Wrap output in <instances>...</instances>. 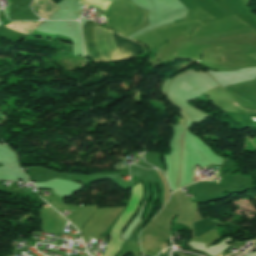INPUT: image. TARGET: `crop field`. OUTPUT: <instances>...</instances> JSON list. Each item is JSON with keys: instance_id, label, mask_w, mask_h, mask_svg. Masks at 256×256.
I'll return each mask as SVG.
<instances>
[{"instance_id": "crop-field-1", "label": "crop field", "mask_w": 256, "mask_h": 256, "mask_svg": "<svg viewBox=\"0 0 256 256\" xmlns=\"http://www.w3.org/2000/svg\"><path fill=\"white\" fill-rule=\"evenodd\" d=\"M93 29L94 22L92 20L86 22L83 27L87 51L94 62H104L102 57L104 58L105 62L121 61L124 59L127 60L141 52L146 51L142 44L114 34L115 44L124 57L123 59L114 44L113 32L110 30H105L98 24H95L94 33L97 48L102 56L101 57L96 48Z\"/></svg>"}, {"instance_id": "crop-field-2", "label": "crop field", "mask_w": 256, "mask_h": 256, "mask_svg": "<svg viewBox=\"0 0 256 256\" xmlns=\"http://www.w3.org/2000/svg\"><path fill=\"white\" fill-rule=\"evenodd\" d=\"M221 44L252 45L256 44V32L252 27L192 38L183 43L175 55L182 56L198 50Z\"/></svg>"}, {"instance_id": "crop-field-3", "label": "crop field", "mask_w": 256, "mask_h": 256, "mask_svg": "<svg viewBox=\"0 0 256 256\" xmlns=\"http://www.w3.org/2000/svg\"><path fill=\"white\" fill-rule=\"evenodd\" d=\"M79 1L91 4L94 7L101 8V9H104V10L106 9V7L110 3V1H106V0H79Z\"/></svg>"}, {"instance_id": "crop-field-4", "label": "crop field", "mask_w": 256, "mask_h": 256, "mask_svg": "<svg viewBox=\"0 0 256 256\" xmlns=\"http://www.w3.org/2000/svg\"><path fill=\"white\" fill-rule=\"evenodd\" d=\"M215 177V176H214ZM213 177L211 176V177H209L208 179H206V180H210V179H212ZM214 179V178H213Z\"/></svg>"}]
</instances>
